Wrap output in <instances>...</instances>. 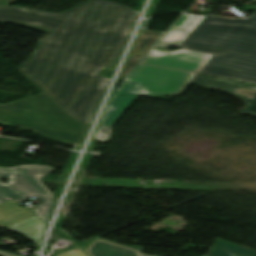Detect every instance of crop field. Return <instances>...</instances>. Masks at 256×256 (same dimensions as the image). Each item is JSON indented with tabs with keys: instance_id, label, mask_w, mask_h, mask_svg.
Returning a JSON list of instances; mask_svg holds the SVG:
<instances>
[{
	"instance_id": "crop-field-1",
	"label": "crop field",
	"mask_w": 256,
	"mask_h": 256,
	"mask_svg": "<svg viewBox=\"0 0 256 256\" xmlns=\"http://www.w3.org/2000/svg\"><path fill=\"white\" fill-rule=\"evenodd\" d=\"M138 12L107 0H89L59 14L0 7V23L48 32L18 68L62 108L118 58Z\"/></svg>"
},
{
	"instance_id": "crop-field-2",
	"label": "crop field",
	"mask_w": 256,
	"mask_h": 256,
	"mask_svg": "<svg viewBox=\"0 0 256 256\" xmlns=\"http://www.w3.org/2000/svg\"><path fill=\"white\" fill-rule=\"evenodd\" d=\"M180 48L214 55L200 73L256 84V13L246 20L205 17Z\"/></svg>"
},
{
	"instance_id": "crop-field-3",
	"label": "crop field",
	"mask_w": 256,
	"mask_h": 256,
	"mask_svg": "<svg viewBox=\"0 0 256 256\" xmlns=\"http://www.w3.org/2000/svg\"><path fill=\"white\" fill-rule=\"evenodd\" d=\"M0 123L79 140L83 139L89 125L75 121L43 92L0 105Z\"/></svg>"
},
{
	"instance_id": "crop-field-4",
	"label": "crop field",
	"mask_w": 256,
	"mask_h": 256,
	"mask_svg": "<svg viewBox=\"0 0 256 256\" xmlns=\"http://www.w3.org/2000/svg\"><path fill=\"white\" fill-rule=\"evenodd\" d=\"M193 75L138 63L113 93L100 125L112 127L138 96L177 95Z\"/></svg>"
},
{
	"instance_id": "crop-field-5",
	"label": "crop field",
	"mask_w": 256,
	"mask_h": 256,
	"mask_svg": "<svg viewBox=\"0 0 256 256\" xmlns=\"http://www.w3.org/2000/svg\"><path fill=\"white\" fill-rule=\"evenodd\" d=\"M53 171L54 169L50 166L40 164L19 165L12 168L0 167V179L2 173L11 176L10 182L6 185L0 181V190L18 203L36 196L42 203L34 207L47 220L53 207L52 193L39 179Z\"/></svg>"
},
{
	"instance_id": "crop-field-6",
	"label": "crop field",
	"mask_w": 256,
	"mask_h": 256,
	"mask_svg": "<svg viewBox=\"0 0 256 256\" xmlns=\"http://www.w3.org/2000/svg\"><path fill=\"white\" fill-rule=\"evenodd\" d=\"M212 56L184 49L168 53L150 49L139 62L198 72Z\"/></svg>"
},
{
	"instance_id": "crop-field-7",
	"label": "crop field",
	"mask_w": 256,
	"mask_h": 256,
	"mask_svg": "<svg viewBox=\"0 0 256 256\" xmlns=\"http://www.w3.org/2000/svg\"><path fill=\"white\" fill-rule=\"evenodd\" d=\"M109 81V79L96 75L65 111L75 120L89 123Z\"/></svg>"
},
{
	"instance_id": "crop-field-8",
	"label": "crop field",
	"mask_w": 256,
	"mask_h": 256,
	"mask_svg": "<svg viewBox=\"0 0 256 256\" xmlns=\"http://www.w3.org/2000/svg\"><path fill=\"white\" fill-rule=\"evenodd\" d=\"M190 83H193L202 87L220 89L222 91L235 95L247 103L240 113L256 115V96L252 100H250L234 92V89L240 88V87H245L249 89L253 88L250 85L242 84V83L227 80V79L200 75V74H196Z\"/></svg>"
},
{
	"instance_id": "crop-field-9",
	"label": "crop field",
	"mask_w": 256,
	"mask_h": 256,
	"mask_svg": "<svg viewBox=\"0 0 256 256\" xmlns=\"http://www.w3.org/2000/svg\"><path fill=\"white\" fill-rule=\"evenodd\" d=\"M204 17L183 14L176 24L159 40L154 48L179 47Z\"/></svg>"
},
{
	"instance_id": "crop-field-10",
	"label": "crop field",
	"mask_w": 256,
	"mask_h": 256,
	"mask_svg": "<svg viewBox=\"0 0 256 256\" xmlns=\"http://www.w3.org/2000/svg\"><path fill=\"white\" fill-rule=\"evenodd\" d=\"M97 240H104V239H100V238L94 239V240L89 242L88 246L91 245L94 241H97ZM108 242H110V241H108ZM111 243H113V242H111ZM125 247L139 250L140 251V256H148V255H141L142 248L129 247V246H125ZM83 252H85V250H83ZM209 256H256V252L252 251V250H249L247 248L235 245L233 243L227 242L225 240L217 239L213 248H212V250H211V252H210V254H209Z\"/></svg>"
},
{
	"instance_id": "crop-field-11",
	"label": "crop field",
	"mask_w": 256,
	"mask_h": 256,
	"mask_svg": "<svg viewBox=\"0 0 256 256\" xmlns=\"http://www.w3.org/2000/svg\"><path fill=\"white\" fill-rule=\"evenodd\" d=\"M46 223L33 215L21 222H18L6 229L18 232L36 244H40Z\"/></svg>"
},
{
	"instance_id": "crop-field-12",
	"label": "crop field",
	"mask_w": 256,
	"mask_h": 256,
	"mask_svg": "<svg viewBox=\"0 0 256 256\" xmlns=\"http://www.w3.org/2000/svg\"><path fill=\"white\" fill-rule=\"evenodd\" d=\"M90 256H139V252L122 246L97 241L86 249Z\"/></svg>"
},
{
	"instance_id": "crop-field-13",
	"label": "crop field",
	"mask_w": 256,
	"mask_h": 256,
	"mask_svg": "<svg viewBox=\"0 0 256 256\" xmlns=\"http://www.w3.org/2000/svg\"><path fill=\"white\" fill-rule=\"evenodd\" d=\"M33 215L24 208H20L18 203L11 200L0 205V227L6 228L18 221Z\"/></svg>"
},
{
	"instance_id": "crop-field-14",
	"label": "crop field",
	"mask_w": 256,
	"mask_h": 256,
	"mask_svg": "<svg viewBox=\"0 0 256 256\" xmlns=\"http://www.w3.org/2000/svg\"><path fill=\"white\" fill-rule=\"evenodd\" d=\"M162 34L160 31H140L130 55L140 60Z\"/></svg>"
},
{
	"instance_id": "crop-field-15",
	"label": "crop field",
	"mask_w": 256,
	"mask_h": 256,
	"mask_svg": "<svg viewBox=\"0 0 256 256\" xmlns=\"http://www.w3.org/2000/svg\"><path fill=\"white\" fill-rule=\"evenodd\" d=\"M111 132H112L111 128L99 126V128L96 132V138L98 141L104 143V142L108 141V139L110 138Z\"/></svg>"
},
{
	"instance_id": "crop-field-16",
	"label": "crop field",
	"mask_w": 256,
	"mask_h": 256,
	"mask_svg": "<svg viewBox=\"0 0 256 256\" xmlns=\"http://www.w3.org/2000/svg\"><path fill=\"white\" fill-rule=\"evenodd\" d=\"M39 135H41L45 138H48V139H53V140L61 141V142H64V143H68V144L73 145V146H79L80 142H81L79 140L61 138V137H56V136H50V135H44V134H39Z\"/></svg>"
},
{
	"instance_id": "crop-field-17",
	"label": "crop field",
	"mask_w": 256,
	"mask_h": 256,
	"mask_svg": "<svg viewBox=\"0 0 256 256\" xmlns=\"http://www.w3.org/2000/svg\"><path fill=\"white\" fill-rule=\"evenodd\" d=\"M55 256H86L77 247H74L68 251L56 252Z\"/></svg>"
},
{
	"instance_id": "crop-field-18",
	"label": "crop field",
	"mask_w": 256,
	"mask_h": 256,
	"mask_svg": "<svg viewBox=\"0 0 256 256\" xmlns=\"http://www.w3.org/2000/svg\"><path fill=\"white\" fill-rule=\"evenodd\" d=\"M137 64V60L128 56L123 71L120 76L125 77L126 74Z\"/></svg>"
},
{
	"instance_id": "crop-field-19",
	"label": "crop field",
	"mask_w": 256,
	"mask_h": 256,
	"mask_svg": "<svg viewBox=\"0 0 256 256\" xmlns=\"http://www.w3.org/2000/svg\"><path fill=\"white\" fill-rule=\"evenodd\" d=\"M254 87L255 88L252 89V90L241 88V89L235 90V92H237L239 94H242L244 96H247V97L252 99L256 95V86H254Z\"/></svg>"
},
{
	"instance_id": "crop-field-20",
	"label": "crop field",
	"mask_w": 256,
	"mask_h": 256,
	"mask_svg": "<svg viewBox=\"0 0 256 256\" xmlns=\"http://www.w3.org/2000/svg\"><path fill=\"white\" fill-rule=\"evenodd\" d=\"M8 200L11 199L0 191V203L6 202Z\"/></svg>"
},
{
	"instance_id": "crop-field-21",
	"label": "crop field",
	"mask_w": 256,
	"mask_h": 256,
	"mask_svg": "<svg viewBox=\"0 0 256 256\" xmlns=\"http://www.w3.org/2000/svg\"><path fill=\"white\" fill-rule=\"evenodd\" d=\"M117 64V60L114 61L112 64H110L108 67H106L104 70L108 71V72H111L114 70L115 66Z\"/></svg>"
},
{
	"instance_id": "crop-field-22",
	"label": "crop field",
	"mask_w": 256,
	"mask_h": 256,
	"mask_svg": "<svg viewBox=\"0 0 256 256\" xmlns=\"http://www.w3.org/2000/svg\"><path fill=\"white\" fill-rule=\"evenodd\" d=\"M0 256H17V255H13V254H9V253H5V252L0 251Z\"/></svg>"
},
{
	"instance_id": "crop-field-23",
	"label": "crop field",
	"mask_w": 256,
	"mask_h": 256,
	"mask_svg": "<svg viewBox=\"0 0 256 256\" xmlns=\"http://www.w3.org/2000/svg\"><path fill=\"white\" fill-rule=\"evenodd\" d=\"M29 211H31L32 213H34L35 215H37V216H38V214H37L34 210L29 209ZM38 217H39V216H38Z\"/></svg>"
}]
</instances>
